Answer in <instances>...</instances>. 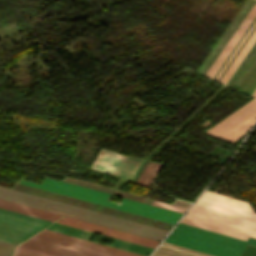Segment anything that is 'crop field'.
<instances>
[{
	"mask_svg": "<svg viewBox=\"0 0 256 256\" xmlns=\"http://www.w3.org/2000/svg\"><path fill=\"white\" fill-rule=\"evenodd\" d=\"M181 222L246 239L256 238V213L248 203L206 191Z\"/></svg>",
	"mask_w": 256,
	"mask_h": 256,
	"instance_id": "crop-field-1",
	"label": "crop field"
},
{
	"mask_svg": "<svg viewBox=\"0 0 256 256\" xmlns=\"http://www.w3.org/2000/svg\"><path fill=\"white\" fill-rule=\"evenodd\" d=\"M19 183L27 184L37 188L45 189L48 191L56 192L59 194L67 195L77 199L85 200L88 202L108 206L111 208L131 212L134 214L150 217L153 219L169 222L175 224L181 217L182 213L154 207L151 205L143 204L140 202L131 201L122 198L119 204L105 200L108 194L91 190L85 187L68 184L59 180L45 177L41 183L35 184L27 181H19Z\"/></svg>",
	"mask_w": 256,
	"mask_h": 256,
	"instance_id": "crop-field-2",
	"label": "crop field"
},
{
	"mask_svg": "<svg viewBox=\"0 0 256 256\" xmlns=\"http://www.w3.org/2000/svg\"><path fill=\"white\" fill-rule=\"evenodd\" d=\"M20 246L58 256H142L115 247L42 230Z\"/></svg>",
	"mask_w": 256,
	"mask_h": 256,
	"instance_id": "crop-field-3",
	"label": "crop field"
},
{
	"mask_svg": "<svg viewBox=\"0 0 256 256\" xmlns=\"http://www.w3.org/2000/svg\"><path fill=\"white\" fill-rule=\"evenodd\" d=\"M165 242L215 256H234L244 239L179 222Z\"/></svg>",
	"mask_w": 256,
	"mask_h": 256,
	"instance_id": "crop-field-4",
	"label": "crop field"
},
{
	"mask_svg": "<svg viewBox=\"0 0 256 256\" xmlns=\"http://www.w3.org/2000/svg\"><path fill=\"white\" fill-rule=\"evenodd\" d=\"M50 223L0 209V241L17 245Z\"/></svg>",
	"mask_w": 256,
	"mask_h": 256,
	"instance_id": "crop-field-5",
	"label": "crop field"
},
{
	"mask_svg": "<svg viewBox=\"0 0 256 256\" xmlns=\"http://www.w3.org/2000/svg\"><path fill=\"white\" fill-rule=\"evenodd\" d=\"M100 151L109 153V154H113V155H117V156H121L123 158L122 159H118L121 157L113 158V157H117V156H113V155H109V154L100 152L99 155L104 154V155H109V156H113V157L104 156V155L97 156L96 160L94 159L95 161L92 164L91 169H95V170H98L101 172L115 175V176H118V177H121V178H124L127 180H130L133 173L135 172V170L139 166L140 162L142 161L141 158L121 155V154H117V153L102 150V149Z\"/></svg>",
	"mask_w": 256,
	"mask_h": 256,
	"instance_id": "crop-field-6",
	"label": "crop field"
},
{
	"mask_svg": "<svg viewBox=\"0 0 256 256\" xmlns=\"http://www.w3.org/2000/svg\"><path fill=\"white\" fill-rule=\"evenodd\" d=\"M256 16V3L253 5V7L251 8V10L249 11V13L246 15V17L244 18V20L241 22V24L239 25V27L237 28V30L234 32V34L232 35V37L229 39V41L227 42V44L224 46V48L222 49V51L220 52V54L217 56V58L215 59V61L212 63V65L210 66V68L208 69V71L205 73V76H208L210 78H212V76L215 74V72L217 71V69L219 68V66L222 64V62L224 61V59L227 57V55L229 54V52L231 51V49L234 47V45L236 44V42L239 40V38L241 37V35L244 33V31L246 30V28L248 27V25L251 23V21L253 20V18ZM256 20L254 21V23L251 25V27L249 28V30L247 31V33L245 34V36L242 38V40L240 41V43L238 44V46L235 48V50L233 51V53L231 54V56L229 57V59L226 61V63L224 64V66L222 67V69L220 70V72L217 74L216 78L218 77V75L221 73V71L223 70V68L225 67V65L228 63V61L230 60V58L232 57V55L235 53V51L237 50V48L239 47V45L241 44V42L244 40V38L246 37V35L248 34V32L251 30V28L253 27V25L255 24ZM256 24L254 25V27L252 28V30L249 32V34L247 35V37L245 38V40L243 41V43L246 41V39L248 38V36L250 35V33L253 31V29L255 28ZM243 43L240 45V47L238 48V50L236 51V53L233 55V57L231 58V60L229 61V63L226 65V67L224 68V70L222 71V73L219 75L218 79L220 78V76L223 74V72L225 71V69L227 68V66L230 64V62L232 61V59L234 58V56L237 54V52L239 51V49L241 48V46L243 45Z\"/></svg>",
	"mask_w": 256,
	"mask_h": 256,
	"instance_id": "crop-field-7",
	"label": "crop field"
},
{
	"mask_svg": "<svg viewBox=\"0 0 256 256\" xmlns=\"http://www.w3.org/2000/svg\"><path fill=\"white\" fill-rule=\"evenodd\" d=\"M56 223H60V224H64V225H68V226H72V227L92 231V232L99 233V234H102V235H106V236H109V237H113V238L129 241V242H133V243H136V244H140V245H144V246H148V247H152V248H154L159 243V241L147 239V238H144V237L132 235V234H129V233L113 230V229H110V228L98 226V225H95V224L83 222V221L68 218V217H61L60 219H58L56 221Z\"/></svg>",
	"mask_w": 256,
	"mask_h": 256,
	"instance_id": "crop-field-8",
	"label": "crop field"
},
{
	"mask_svg": "<svg viewBox=\"0 0 256 256\" xmlns=\"http://www.w3.org/2000/svg\"><path fill=\"white\" fill-rule=\"evenodd\" d=\"M63 181L74 183V184L85 186V187H89V188H93V189L104 191V192H108L110 194L114 191L113 189H109V188L104 187V186H100V185H96V184H92V183H88V182H84V181H80V180H76V179H72V178H68V177H66ZM104 189H106V190H104ZM114 195H118V196L125 197V198H128V199L136 200V201H140L141 198H142V197L136 196L134 194L123 192V191H119V190H117L114 193ZM177 201H174V203L175 204H179V205H183V206L187 205L186 203H181V202H177ZM143 202L151 204L152 199L145 198ZM154 205L155 206H159V207H163V208H166V209L174 210V211H177L175 209H178L180 211H182V209H183L182 208L183 206L182 207H178L179 205L178 206H174V205H170V204H166V203H162V202H158V201H156L154 203ZM173 208H175V209H173ZM180 211H178V212H180Z\"/></svg>",
	"mask_w": 256,
	"mask_h": 256,
	"instance_id": "crop-field-9",
	"label": "crop field"
},
{
	"mask_svg": "<svg viewBox=\"0 0 256 256\" xmlns=\"http://www.w3.org/2000/svg\"><path fill=\"white\" fill-rule=\"evenodd\" d=\"M0 208L18 212L25 215H29L32 217L40 218L43 220L51 221V222H53L54 218L56 217V214L48 213L45 211H41L38 209L30 208L27 206L19 205V204L1 200V199H0Z\"/></svg>",
	"mask_w": 256,
	"mask_h": 256,
	"instance_id": "crop-field-10",
	"label": "crop field"
},
{
	"mask_svg": "<svg viewBox=\"0 0 256 256\" xmlns=\"http://www.w3.org/2000/svg\"><path fill=\"white\" fill-rule=\"evenodd\" d=\"M256 120V114L242 122L240 125L226 133L224 136H222L220 139H223L225 141L233 143L236 141L239 137H241L245 132L249 130V128L252 126V124Z\"/></svg>",
	"mask_w": 256,
	"mask_h": 256,
	"instance_id": "crop-field-11",
	"label": "crop field"
},
{
	"mask_svg": "<svg viewBox=\"0 0 256 256\" xmlns=\"http://www.w3.org/2000/svg\"><path fill=\"white\" fill-rule=\"evenodd\" d=\"M46 229L61 232L64 234H68V235L79 237L86 240H88V238L92 234L91 232H87V231H83V230H79V229H75V228H71V227H67V226H63L55 223L51 224Z\"/></svg>",
	"mask_w": 256,
	"mask_h": 256,
	"instance_id": "crop-field-12",
	"label": "crop field"
},
{
	"mask_svg": "<svg viewBox=\"0 0 256 256\" xmlns=\"http://www.w3.org/2000/svg\"><path fill=\"white\" fill-rule=\"evenodd\" d=\"M111 246H115V247H118V248H122V249L129 250V251H132V252H135V253L146 255V256H148V254L152 250V248H148V247H144V246H140V245H136V244L120 241V240H115L111 244Z\"/></svg>",
	"mask_w": 256,
	"mask_h": 256,
	"instance_id": "crop-field-13",
	"label": "crop field"
},
{
	"mask_svg": "<svg viewBox=\"0 0 256 256\" xmlns=\"http://www.w3.org/2000/svg\"><path fill=\"white\" fill-rule=\"evenodd\" d=\"M152 256H195V255H191V254H187L177 250L159 246Z\"/></svg>",
	"mask_w": 256,
	"mask_h": 256,
	"instance_id": "crop-field-14",
	"label": "crop field"
},
{
	"mask_svg": "<svg viewBox=\"0 0 256 256\" xmlns=\"http://www.w3.org/2000/svg\"><path fill=\"white\" fill-rule=\"evenodd\" d=\"M17 251L29 253V254L36 255V256H54V255H51V254L35 251V250H32V249H28V248H24V247H20V246H18ZM21 252H17V253H21ZM17 253H16L15 256H25V255L32 256V255L25 254V253H21V254H25V255H21V254H17Z\"/></svg>",
	"mask_w": 256,
	"mask_h": 256,
	"instance_id": "crop-field-15",
	"label": "crop field"
},
{
	"mask_svg": "<svg viewBox=\"0 0 256 256\" xmlns=\"http://www.w3.org/2000/svg\"><path fill=\"white\" fill-rule=\"evenodd\" d=\"M15 247V245L0 242V256H12Z\"/></svg>",
	"mask_w": 256,
	"mask_h": 256,
	"instance_id": "crop-field-16",
	"label": "crop field"
},
{
	"mask_svg": "<svg viewBox=\"0 0 256 256\" xmlns=\"http://www.w3.org/2000/svg\"><path fill=\"white\" fill-rule=\"evenodd\" d=\"M162 244L166 245V246H169V247L177 248V249H180V250L188 251V252H191V253H195V254H199V255H203V256H210V255H206V254H203V253H199V252L183 249V248H180V247L172 246V245H168V244H164V243H162Z\"/></svg>",
	"mask_w": 256,
	"mask_h": 256,
	"instance_id": "crop-field-17",
	"label": "crop field"
},
{
	"mask_svg": "<svg viewBox=\"0 0 256 256\" xmlns=\"http://www.w3.org/2000/svg\"><path fill=\"white\" fill-rule=\"evenodd\" d=\"M244 244H248V245H252V246L256 247V239L247 237Z\"/></svg>",
	"mask_w": 256,
	"mask_h": 256,
	"instance_id": "crop-field-18",
	"label": "crop field"
},
{
	"mask_svg": "<svg viewBox=\"0 0 256 256\" xmlns=\"http://www.w3.org/2000/svg\"><path fill=\"white\" fill-rule=\"evenodd\" d=\"M252 96L256 97V89H255V91L252 93Z\"/></svg>",
	"mask_w": 256,
	"mask_h": 256,
	"instance_id": "crop-field-19",
	"label": "crop field"
}]
</instances>
